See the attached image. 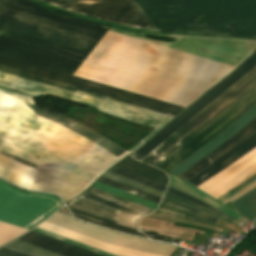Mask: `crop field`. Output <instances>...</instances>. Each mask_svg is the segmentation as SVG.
Segmentation results:
<instances>
[{"mask_svg": "<svg viewBox=\"0 0 256 256\" xmlns=\"http://www.w3.org/2000/svg\"><path fill=\"white\" fill-rule=\"evenodd\" d=\"M254 173H256V147L197 188L217 199L218 197L225 194L226 191L240 184ZM168 176L170 178V187L182 191L200 201H203L236 220H240L243 217L228 207L222 205L221 203L256 179L254 178L222 200H216L201 190L197 189L196 187L192 186L191 184L187 183L186 181L170 173H168Z\"/></svg>", "mask_w": 256, "mask_h": 256, "instance_id": "obj_1", "label": "crop field"}, {"mask_svg": "<svg viewBox=\"0 0 256 256\" xmlns=\"http://www.w3.org/2000/svg\"><path fill=\"white\" fill-rule=\"evenodd\" d=\"M254 86L256 67L141 161L156 166Z\"/></svg>", "mask_w": 256, "mask_h": 256, "instance_id": "obj_2", "label": "crop field"}, {"mask_svg": "<svg viewBox=\"0 0 256 256\" xmlns=\"http://www.w3.org/2000/svg\"><path fill=\"white\" fill-rule=\"evenodd\" d=\"M255 146L256 118L178 177L197 187Z\"/></svg>", "mask_w": 256, "mask_h": 256, "instance_id": "obj_3", "label": "crop field"}, {"mask_svg": "<svg viewBox=\"0 0 256 256\" xmlns=\"http://www.w3.org/2000/svg\"><path fill=\"white\" fill-rule=\"evenodd\" d=\"M68 205L117 224L131 202L90 187L86 192L70 201ZM152 211L153 209L132 203L118 224L138 229V219Z\"/></svg>", "mask_w": 256, "mask_h": 256, "instance_id": "obj_4", "label": "crop field"}, {"mask_svg": "<svg viewBox=\"0 0 256 256\" xmlns=\"http://www.w3.org/2000/svg\"><path fill=\"white\" fill-rule=\"evenodd\" d=\"M254 104H256V87L250 90L229 109L175 150L157 167L163 169L164 172H169L186 157L221 133Z\"/></svg>", "mask_w": 256, "mask_h": 256, "instance_id": "obj_5", "label": "crop field"}, {"mask_svg": "<svg viewBox=\"0 0 256 256\" xmlns=\"http://www.w3.org/2000/svg\"><path fill=\"white\" fill-rule=\"evenodd\" d=\"M256 66V51L248 57L237 69H235L229 76H227L218 85L213 87L206 95L192 104L183 113L171 121L146 144L134 151L131 156L137 160L145 157L157 145L174 133L178 128L190 120L193 116L204 109L215 98L226 91L229 87L235 84L238 80L244 77L253 67Z\"/></svg>", "mask_w": 256, "mask_h": 256, "instance_id": "obj_6", "label": "crop field"}, {"mask_svg": "<svg viewBox=\"0 0 256 256\" xmlns=\"http://www.w3.org/2000/svg\"><path fill=\"white\" fill-rule=\"evenodd\" d=\"M254 117H256V105L250 108L244 115H242L238 120H236L232 125H230L226 130H224L217 137L212 139L206 145L201 147L187 159H185L180 165H178L171 173L175 175L181 174L184 170L190 167L192 164L200 160L202 157L207 155L221 143L226 141L228 138L233 136L238 130H240L245 124L251 121Z\"/></svg>", "mask_w": 256, "mask_h": 256, "instance_id": "obj_7", "label": "crop field"}, {"mask_svg": "<svg viewBox=\"0 0 256 256\" xmlns=\"http://www.w3.org/2000/svg\"><path fill=\"white\" fill-rule=\"evenodd\" d=\"M19 240L31 243L33 245L42 247L44 249L56 252V253L64 255V256H94L89 253L80 251L78 249L69 247L67 245L58 243L56 241L47 239L45 237L36 235L31 232L25 234L24 236L19 238Z\"/></svg>", "mask_w": 256, "mask_h": 256, "instance_id": "obj_8", "label": "crop field"}, {"mask_svg": "<svg viewBox=\"0 0 256 256\" xmlns=\"http://www.w3.org/2000/svg\"><path fill=\"white\" fill-rule=\"evenodd\" d=\"M115 167L139 174L167 186V176L165 174L147 165L137 163L127 157L115 165Z\"/></svg>", "mask_w": 256, "mask_h": 256, "instance_id": "obj_9", "label": "crop field"}, {"mask_svg": "<svg viewBox=\"0 0 256 256\" xmlns=\"http://www.w3.org/2000/svg\"><path fill=\"white\" fill-rule=\"evenodd\" d=\"M232 203L238 213L252 222L256 216V187Z\"/></svg>", "mask_w": 256, "mask_h": 256, "instance_id": "obj_10", "label": "crop field"}, {"mask_svg": "<svg viewBox=\"0 0 256 256\" xmlns=\"http://www.w3.org/2000/svg\"><path fill=\"white\" fill-rule=\"evenodd\" d=\"M160 207H164V208L182 212V213H185L188 215H192V216L198 217L200 219H203V220H206V221L212 222V223H214L217 220V218L212 217L206 213H203L197 209L191 208L189 206L183 205L181 203L175 202V201L167 199L165 197L163 198V200L160 204Z\"/></svg>", "mask_w": 256, "mask_h": 256, "instance_id": "obj_11", "label": "crop field"}, {"mask_svg": "<svg viewBox=\"0 0 256 256\" xmlns=\"http://www.w3.org/2000/svg\"><path fill=\"white\" fill-rule=\"evenodd\" d=\"M92 187L98 188L100 190H103L105 192H108L110 194L118 196V197L123 198L125 200L131 201V202H134V203H137V204H141V205L153 208V209L157 208V206H158L157 204H155L153 202H150V201H148L144 198H141V197L135 196L133 194H130V193L112 188L110 186H107V185H105L103 183H100V182H97V181L94 182Z\"/></svg>", "mask_w": 256, "mask_h": 256, "instance_id": "obj_12", "label": "crop field"}, {"mask_svg": "<svg viewBox=\"0 0 256 256\" xmlns=\"http://www.w3.org/2000/svg\"><path fill=\"white\" fill-rule=\"evenodd\" d=\"M3 247L32 256H60L31 244L15 240Z\"/></svg>", "mask_w": 256, "mask_h": 256, "instance_id": "obj_13", "label": "crop field"}, {"mask_svg": "<svg viewBox=\"0 0 256 256\" xmlns=\"http://www.w3.org/2000/svg\"><path fill=\"white\" fill-rule=\"evenodd\" d=\"M69 210L72 212V214L74 216H76L78 218H81V219H83V220H85L87 222L98 224V225L105 226V227H108V228H112V229H115V230H118V231H122V232H125V233H129V234L145 237L138 230H134V229L118 226V225H115V224H112V223H109V222H105V221L99 220L97 218H94L92 216H89L87 214H84L82 212H79L77 210L71 209V208H69Z\"/></svg>", "mask_w": 256, "mask_h": 256, "instance_id": "obj_14", "label": "crop field"}, {"mask_svg": "<svg viewBox=\"0 0 256 256\" xmlns=\"http://www.w3.org/2000/svg\"><path fill=\"white\" fill-rule=\"evenodd\" d=\"M103 177L110 178L112 180H115L117 182L123 183L125 185L131 186L133 188L139 189L143 192L152 194V195L160 197V198L163 195V192H161V191H158L156 189H153V188H150L148 186L142 185L140 183L134 182V181H132L130 179H127V178H125L123 176H120V175H116V174L107 172V173L103 174Z\"/></svg>", "mask_w": 256, "mask_h": 256, "instance_id": "obj_15", "label": "crop field"}, {"mask_svg": "<svg viewBox=\"0 0 256 256\" xmlns=\"http://www.w3.org/2000/svg\"><path fill=\"white\" fill-rule=\"evenodd\" d=\"M109 172H113V173H116V174L123 175V176H125L127 178H130V179L134 180V181H137V182H140L142 184L148 185L150 187L156 188V189L161 190L163 192L166 189V186H164V185H161L159 183H156V182H153L151 180H148V179H146L144 177H141V176H138V175H135V174L123 171V170L115 168V167L110 169Z\"/></svg>", "mask_w": 256, "mask_h": 256, "instance_id": "obj_16", "label": "crop field"}, {"mask_svg": "<svg viewBox=\"0 0 256 256\" xmlns=\"http://www.w3.org/2000/svg\"><path fill=\"white\" fill-rule=\"evenodd\" d=\"M98 181L103 182V183L108 184V185H111V186H114V187H116V188L122 189V190H124V191L133 193V194H135V195H138V196L147 198V199L152 200V201H155V202H157V203H159V201H160V198H157V197H154V196H152V195L143 193V192H141V191H139V190H136V189H133V188H131V187L122 185V184H120V183L114 182V181L109 180V179H107V178L101 177V178L98 179Z\"/></svg>", "mask_w": 256, "mask_h": 256, "instance_id": "obj_17", "label": "crop field"}, {"mask_svg": "<svg viewBox=\"0 0 256 256\" xmlns=\"http://www.w3.org/2000/svg\"><path fill=\"white\" fill-rule=\"evenodd\" d=\"M167 192H170V193H172V194L178 195V196H180V197H182V198H185V199H187V200H189V201H191V202H193V203H195V204H197V205H199V206H202V207H204V208H206V209H209V210H211V211H213V212H216V213H218L219 215H221V216H223V217H225V218H227V219H229V220H231V221H233V222H235V223H237V224L240 223V222H237L236 220H234V219H232V218H230V217H228V216L222 214V213L219 212L218 210H216V209H214V208H212V207H210V206H208V205H206V204H204V203H202V202H200V201H198V200H196V199H194V198H192V197H190V196H188V195H186V194H184V193H181V192H179V191H177V190H174V189H172V188H170V187H168Z\"/></svg>", "mask_w": 256, "mask_h": 256, "instance_id": "obj_18", "label": "crop field"}, {"mask_svg": "<svg viewBox=\"0 0 256 256\" xmlns=\"http://www.w3.org/2000/svg\"><path fill=\"white\" fill-rule=\"evenodd\" d=\"M156 212H160V213H164V214H168V215H172V216H176V217H180V218L196 221V222H199V223H202V224H205V225H209V226H213V227H217V228L221 227V226L218 227V226H216L214 224L205 222L203 220L197 219V218L192 217V216H188V215H185V214H181V213H178V212H175V211H171V210H168V209H164V208H160V207L156 210ZM220 229L224 230L223 228H220Z\"/></svg>", "mask_w": 256, "mask_h": 256, "instance_id": "obj_19", "label": "crop field"}, {"mask_svg": "<svg viewBox=\"0 0 256 256\" xmlns=\"http://www.w3.org/2000/svg\"><path fill=\"white\" fill-rule=\"evenodd\" d=\"M164 196H165V197H168V198H170V199H173V200H176V201L185 203V204H187V205H189V206H192V207L197 208V209H199V210H201V211H204V212H206V213H208V214H210V215H213V216H215V217H218V218H220V219H223V220H225V221H228L227 219H225V218H223V217H221V216H219V215H217V214H215V213H213V212H211V211H209V210H206V209H204V208H202V207H199V206H197V205H195V204H193V203H191V202H189V201H187V200H185V199H182V198H180V197H178V196L172 195V194L167 193V192L165 193ZM228 222H230V221H228ZM230 223H232V222H230ZM232 224H234V223H232ZM234 225H236V224H234Z\"/></svg>", "mask_w": 256, "mask_h": 256, "instance_id": "obj_20", "label": "crop field"}, {"mask_svg": "<svg viewBox=\"0 0 256 256\" xmlns=\"http://www.w3.org/2000/svg\"><path fill=\"white\" fill-rule=\"evenodd\" d=\"M34 230H37V231H39V232H42V233H45V234L51 235V236H53V237H56V238L62 239V240H64V241H67V242H70V243L76 244V245H78V246H81V247L87 248V249H89V250H92V251H95V252L101 253V254L106 255V256H114V255H111V254H108V253L102 252V251H100V250H97V249H94V248H91V247H88V246L82 245V244H80V243H77V242L71 241V240H69V239L63 238V237H61V236H58V235H56V234H53V233H51V232L45 231V230L40 229V228H37V227H36V228H34Z\"/></svg>", "mask_w": 256, "mask_h": 256, "instance_id": "obj_21", "label": "crop field"}, {"mask_svg": "<svg viewBox=\"0 0 256 256\" xmlns=\"http://www.w3.org/2000/svg\"><path fill=\"white\" fill-rule=\"evenodd\" d=\"M31 232H34V233H36V234H39V235L45 236V237H47V238H50V239L56 240V241H58V242H61V243L67 244V245H69V246H72V247L78 248V249H80V250H83V251L89 252V253L94 254V255H97V256H103V255H101V254H98V253H95V252L89 251V250H87V249H84V248L78 247V246H76V245H73V244H70V243L64 242V241H62V240H59V239L53 238V237H51V236H48V235H45V234L39 233V232H37V231L32 230Z\"/></svg>", "mask_w": 256, "mask_h": 256, "instance_id": "obj_22", "label": "crop field"}, {"mask_svg": "<svg viewBox=\"0 0 256 256\" xmlns=\"http://www.w3.org/2000/svg\"><path fill=\"white\" fill-rule=\"evenodd\" d=\"M0 256H26V255H22L2 247L0 248Z\"/></svg>", "mask_w": 256, "mask_h": 256, "instance_id": "obj_23", "label": "crop field"}, {"mask_svg": "<svg viewBox=\"0 0 256 256\" xmlns=\"http://www.w3.org/2000/svg\"><path fill=\"white\" fill-rule=\"evenodd\" d=\"M142 232H144L147 236H149L150 238H153V239H157V240H160V241H166V237H163V236H159L157 235V233L155 232H149V231H145V230H141Z\"/></svg>", "mask_w": 256, "mask_h": 256, "instance_id": "obj_24", "label": "crop field"}, {"mask_svg": "<svg viewBox=\"0 0 256 256\" xmlns=\"http://www.w3.org/2000/svg\"><path fill=\"white\" fill-rule=\"evenodd\" d=\"M255 176H256V174L253 175V176H252L251 178H249L248 180H246V181H244L243 183H241L240 185H238L237 187H235L234 189L228 191V192H227V195L230 194V193H231L232 191H234L235 189H237L238 187H240V186L244 185L245 183H247L249 180H251V179L254 178Z\"/></svg>", "mask_w": 256, "mask_h": 256, "instance_id": "obj_25", "label": "crop field"}]
</instances>
